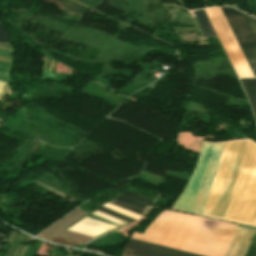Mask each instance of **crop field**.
Masks as SVG:
<instances>
[{"instance_id": "24", "label": "crop field", "mask_w": 256, "mask_h": 256, "mask_svg": "<svg viewBox=\"0 0 256 256\" xmlns=\"http://www.w3.org/2000/svg\"><path fill=\"white\" fill-rule=\"evenodd\" d=\"M0 122H1V120H0Z\"/></svg>"}, {"instance_id": "17", "label": "crop field", "mask_w": 256, "mask_h": 256, "mask_svg": "<svg viewBox=\"0 0 256 256\" xmlns=\"http://www.w3.org/2000/svg\"><path fill=\"white\" fill-rule=\"evenodd\" d=\"M0 62H7V63H10V58L0 56Z\"/></svg>"}, {"instance_id": "22", "label": "crop field", "mask_w": 256, "mask_h": 256, "mask_svg": "<svg viewBox=\"0 0 256 256\" xmlns=\"http://www.w3.org/2000/svg\"><path fill=\"white\" fill-rule=\"evenodd\" d=\"M0 238H2V239H3L4 237H3V236H0Z\"/></svg>"}, {"instance_id": "21", "label": "crop field", "mask_w": 256, "mask_h": 256, "mask_svg": "<svg viewBox=\"0 0 256 256\" xmlns=\"http://www.w3.org/2000/svg\"><path fill=\"white\" fill-rule=\"evenodd\" d=\"M0 49L7 50V49H5V48H1V47H0ZM9 51H11V50H9Z\"/></svg>"}, {"instance_id": "18", "label": "crop field", "mask_w": 256, "mask_h": 256, "mask_svg": "<svg viewBox=\"0 0 256 256\" xmlns=\"http://www.w3.org/2000/svg\"><path fill=\"white\" fill-rule=\"evenodd\" d=\"M0 55H2V56H8V57H10V52H8V51H3V50H0Z\"/></svg>"}, {"instance_id": "19", "label": "crop field", "mask_w": 256, "mask_h": 256, "mask_svg": "<svg viewBox=\"0 0 256 256\" xmlns=\"http://www.w3.org/2000/svg\"><path fill=\"white\" fill-rule=\"evenodd\" d=\"M0 46L7 47V48H11V49H14V47H12V46H6V45H1V44H0Z\"/></svg>"}, {"instance_id": "2", "label": "crop field", "mask_w": 256, "mask_h": 256, "mask_svg": "<svg viewBox=\"0 0 256 256\" xmlns=\"http://www.w3.org/2000/svg\"><path fill=\"white\" fill-rule=\"evenodd\" d=\"M248 141L244 139L224 143L202 215L224 218Z\"/></svg>"}, {"instance_id": "7", "label": "crop field", "mask_w": 256, "mask_h": 256, "mask_svg": "<svg viewBox=\"0 0 256 256\" xmlns=\"http://www.w3.org/2000/svg\"><path fill=\"white\" fill-rule=\"evenodd\" d=\"M193 13L197 19L201 34L203 36L217 37L205 11L201 10V11H195Z\"/></svg>"}, {"instance_id": "9", "label": "crop field", "mask_w": 256, "mask_h": 256, "mask_svg": "<svg viewBox=\"0 0 256 256\" xmlns=\"http://www.w3.org/2000/svg\"><path fill=\"white\" fill-rule=\"evenodd\" d=\"M103 206H105V207H107V208H109V209H111V210H113V211H115V212H118V213H120V214H123V215H126V216H128V217L134 218V219H136V220H138L139 218H141V216H139V215H136V214H134V213H131V212L127 211V210H124V209L119 208V207H117V206L111 205V204H109V203H106V204H104Z\"/></svg>"}, {"instance_id": "11", "label": "crop field", "mask_w": 256, "mask_h": 256, "mask_svg": "<svg viewBox=\"0 0 256 256\" xmlns=\"http://www.w3.org/2000/svg\"><path fill=\"white\" fill-rule=\"evenodd\" d=\"M116 199L121 200V201H123V202H126V203H128V204H131V205H133V206H135V207H138V208H140V209H143V210H145V211H147L148 208H149V206L144 205V204H142V203H140V202H137V201H135V200H132V199H130V198H128V197H125V196H123V195L117 197Z\"/></svg>"}, {"instance_id": "13", "label": "crop field", "mask_w": 256, "mask_h": 256, "mask_svg": "<svg viewBox=\"0 0 256 256\" xmlns=\"http://www.w3.org/2000/svg\"><path fill=\"white\" fill-rule=\"evenodd\" d=\"M123 195L128 196V197H130V198H132V199H135V200H137V201H140V202H142V203H144V204H147V205H149V206H151V204H152V202H153V201L150 200V199L144 198V197H142V196H139V195H137V194L131 193V192H129V191L125 192Z\"/></svg>"}, {"instance_id": "10", "label": "crop field", "mask_w": 256, "mask_h": 256, "mask_svg": "<svg viewBox=\"0 0 256 256\" xmlns=\"http://www.w3.org/2000/svg\"><path fill=\"white\" fill-rule=\"evenodd\" d=\"M109 203L114 204V205H117V206L122 207V208H124V209H127V210H129V211L135 212V213L140 214V215H142V216H144L145 213H146V212L143 211V210H140V209H138V208H135V207H133V206H130V205H128V204H126V203H123V202H121V201H118V200H116V199L110 201Z\"/></svg>"}, {"instance_id": "15", "label": "crop field", "mask_w": 256, "mask_h": 256, "mask_svg": "<svg viewBox=\"0 0 256 256\" xmlns=\"http://www.w3.org/2000/svg\"><path fill=\"white\" fill-rule=\"evenodd\" d=\"M9 65L10 64L0 63V70L7 72L8 68H9Z\"/></svg>"}, {"instance_id": "4", "label": "crop field", "mask_w": 256, "mask_h": 256, "mask_svg": "<svg viewBox=\"0 0 256 256\" xmlns=\"http://www.w3.org/2000/svg\"><path fill=\"white\" fill-rule=\"evenodd\" d=\"M206 12L219 36V40L221 41L238 77H253L220 9L214 7L206 9Z\"/></svg>"}, {"instance_id": "16", "label": "crop field", "mask_w": 256, "mask_h": 256, "mask_svg": "<svg viewBox=\"0 0 256 256\" xmlns=\"http://www.w3.org/2000/svg\"><path fill=\"white\" fill-rule=\"evenodd\" d=\"M0 80L8 82V76L7 73L0 72Z\"/></svg>"}, {"instance_id": "20", "label": "crop field", "mask_w": 256, "mask_h": 256, "mask_svg": "<svg viewBox=\"0 0 256 256\" xmlns=\"http://www.w3.org/2000/svg\"><path fill=\"white\" fill-rule=\"evenodd\" d=\"M3 240L0 239V246L2 245Z\"/></svg>"}, {"instance_id": "23", "label": "crop field", "mask_w": 256, "mask_h": 256, "mask_svg": "<svg viewBox=\"0 0 256 256\" xmlns=\"http://www.w3.org/2000/svg\"><path fill=\"white\" fill-rule=\"evenodd\" d=\"M0 235H3V234H0ZM4 236V235H3Z\"/></svg>"}, {"instance_id": "3", "label": "crop field", "mask_w": 256, "mask_h": 256, "mask_svg": "<svg viewBox=\"0 0 256 256\" xmlns=\"http://www.w3.org/2000/svg\"><path fill=\"white\" fill-rule=\"evenodd\" d=\"M254 76L256 77V20L232 9L221 8Z\"/></svg>"}, {"instance_id": "1", "label": "crop field", "mask_w": 256, "mask_h": 256, "mask_svg": "<svg viewBox=\"0 0 256 256\" xmlns=\"http://www.w3.org/2000/svg\"><path fill=\"white\" fill-rule=\"evenodd\" d=\"M236 224L163 211L140 235L134 236L188 250L222 256ZM132 236L122 256H208Z\"/></svg>"}, {"instance_id": "14", "label": "crop field", "mask_w": 256, "mask_h": 256, "mask_svg": "<svg viewBox=\"0 0 256 256\" xmlns=\"http://www.w3.org/2000/svg\"><path fill=\"white\" fill-rule=\"evenodd\" d=\"M0 43L1 44H9V35L8 33L4 30L3 26L0 23Z\"/></svg>"}, {"instance_id": "8", "label": "crop field", "mask_w": 256, "mask_h": 256, "mask_svg": "<svg viewBox=\"0 0 256 256\" xmlns=\"http://www.w3.org/2000/svg\"><path fill=\"white\" fill-rule=\"evenodd\" d=\"M256 116V79H240Z\"/></svg>"}, {"instance_id": "5", "label": "crop field", "mask_w": 256, "mask_h": 256, "mask_svg": "<svg viewBox=\"0 0 256 256\" xmlns=\"http://www.w3.org/2000/svg\"><path fill=\"white\" fill-rule=\"evenodd\" d=\"M238 227H242V226H238ZM238 227H236L233 232V235L230 239V242L227 246L224 256H243L245 253V250L254 232L252 230H255V229L247 230L250 228L243 229L246 227H243V228H238ZM244 256H256V230L252 236V239L249 243V246Z\"/></svg>"}, {"instance_id": "6", "label": "crop field", "mask_w": 256, "mask_h": 256, "mask_svg": "<svg viewBox=\"0 0 256 256\" xmlns=\"http://www.w3.org/2000/svg\"><path fill=\"white\" fill-rule=\"evenodd\" d=\"M93 214L98 215L107 220H110L119 225L125 224L122 221L114 219V218L107 216L105 214H102L98 211L94 212ZM112 228H114V227L88 216V217L84 218L83 220H81L79 223H77L75 226L69 228L68 230L95 237L97 235L102 234L103 232H105L107 230L112 229Z\"/></svg>"}, {"instance_id": "12", "label": "crop field", "mask_w": 256, "mask_h": 256, "mask_svg": "<svg viewBox=\"0 0 256 256\" xmlns=\"http://www.w3.org/2000/svg\"><path fill=\"white\" fill-rule=\"evenodd\" d=\"M97 210L102 211V212H104V213H107V214H109V215H112V216H114V217H117V218H119V219H122V220H124V221H127V222H129V223H132V222L136 221V220H134V219H131V218H128V217H126V216H123V215H120V214H118V213H115V212H113V211H111V210H109V209H107V208H105V207H103V206L97 208Z\"/></svg>"}]
</instances>
